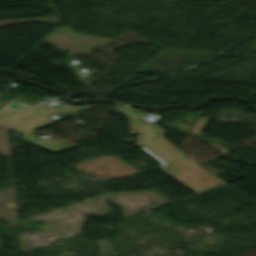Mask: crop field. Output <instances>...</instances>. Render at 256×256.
I'll use <instances>...</instances> for the list:
<instances>
[{
    "label": "crop field",
    "instance_id": "8a807250",
    "mask_svg": "<svg viewBox=\"0 0 256 256\" xmlns=\"http://www.w3.org/2000/svg\"><path fill=\"white\" fill-rule=\"evenodd\" d=\"M54 114L55 109L42 104L24 112H0V126L14 129L22 133V140L31 145L46 149L53 153H59L75 146L47 136L37 137L31 134L37 129L54 122L56 119L51 117Z\"/></svg>",
    "mask_w": 256,
    "mask_h": 256
},
{
    "label": "crop field",
    "instance_id": "ac0d7876",
    "mask_svg": "<svg viewBox=\"0 0 256 256\" xmlns=\"http://www.w3.org/2000/svg\"><path fill=\"white\" fill-rule=\"evenodd\" d=\"M161 170L176 178L198 194L226 184L187 158L169 164Z\"/></svg>",
    "mask_w": 256,
    "mask_h": 256
},
{
    "label": "crop field",
    "instance_id": "34b2d1b8",
    "mask_svg": "<svg viewBox=\"0 0 256 256\" xmlns=\"http://www.w3.org/2000/svg\"><path fill=\"white\" fill-rule=\"evenodd\" d=\"M163 131L154 125L143 124L139 146L154 155L164 164L178 160L184 155L162 139Z\"/></svg>",
    "mask_w": 256,
    "mask_h": 256
},
{
    "label": "crop field",
    "instance_id": "412701ff",
    "mask_svg": "<svg viewBox=\"0 0 256 256\" xmlns=\"http://www.w3.org/2000/svg\"><path fill=\"white\" fill-rule=\"evenodd\" d=\"M120 113L129 119L131 123V129H139L140 124H139L138 117L134 116L129 112H120Z\"/></svg>",
    "mask_w": 256,
    "mask_h": 256
}]
</instances>
